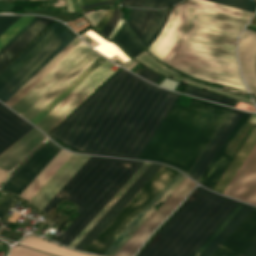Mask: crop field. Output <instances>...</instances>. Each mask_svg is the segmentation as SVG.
I'll list each match as a JSON object with an SVG mask.
<instances>
[{
    "instance_id": "4177f3b9",
    "label": "crop field",
    "mask_w": 256,
    "mask_h": 256,
    "mask_svg": "<svg viewBox=\"0 0 256 256\" xmlns=\"http://www.w3.org/2000/svg\"><path fill=\"white\" fill-rule=\"evenodd\" d=\"M253 208L254 206L244 204L199 256H211L226 240V238L235 230V228L243 221V219L251 212Z\"/></svg>"
},
{
    "instance_id": "cbeb9de0",
    "label": "crop field",
    "mask_w": 256,
    "mask_h": 256,
    "mask_svg": "<svg viewBox=\"0 0 256 256\" xmlns=\"http://www.w3.org/2000/svg\"><path fill=\"white\" fill-rule=\"evenodd\" d=\"M89 157L73 154L30 202L41 210Z\"/></svg>"
},
{
    "instance_id": "5866460e",
    "label": "crop field",
    "mask_w": 256,
    "mask_h": 256,
    "mask_svg": "<svg viewBox=\"0 0 256 256\" xmlns=\"http://www.w3.org/2000/svg\"><path fill=\"white\" fill-rule=\"evenodd\" d=\"M184 93H188V94H191V95H194V96H198V97H201V98L216 101V102L223 103V104L230 105V106H232V104L234 102V99L227 98V97H224V96H220V95H217V94H213V93H210V92H206V91H203V90H200V89H196V88L190 87L188 85L186 86V88L184 90Z\"/></svg>"
},
{
    "instance_id": "ae1a2a85",
    "label": "crop field",
    "mask_w": 256,
    "mask_h": 256,
    "mask_svg": "<svg viewBox=\"0 0 256 256\" xmlns=\"http://www.w3.org/2000/svg\"><path fill=\"white\" fill-rule=\"evenodd\" d=\"M150 163L144 164L127 181V183L116 193V195L105 205V207L95 216V218L84 228V230L73 240L69 247L74 248L76 244L88 233V231L97 223V221L107 212V210L117 201V199L127 190V188L136 180V178L146 169Z\"/></svg>"
},
{
    "instance_id": "e1f06a70",
    "label": "crop field",
    "mask_w": 256,
    "mask_h": 256,
    "mask_svg": "<svg viewBox=\"0 0 256 256\" xmlns=\"http://www.w3.org/2000/svg\"><path fill=\"white\" fill-rule=\"evenodd\" d=\"M243 203L239 204L234 208V210L227 216V218L219 225V227L211 234V236L204 242V244L196 251L193 256H198L201 251L209 244V242L217 235V233L225 226V224L232 218V216L239 210Z\"/></svg>"
},
{
    "instance_id": "5142ce71",
    "label": "crop field",
    "mask_w": 256,
    "mask_h": 256,
    "mask_svg": "<svg viewBox=\"0 0 256 256\" xmlns=\"http://www.w3.org/2000/svg\"><path fill=\"white\" fill-rule=\"evenodd\" d=\"M242 114V111L231 109L188 175L198 181Z\"/></svg>"
},
{
    "instance_id": "b80d0937",
    "label": "crop field",
    "mask_w": 256,
    "mask_h": 256,
    "mask_svg": "<svg viewBox=\"0 0 256 256\" xmlns=\"http://www.w3.org/2000/svg\"><path fill=\"white\" fill-rule=\"evenodd\" d=\"M9 256H51V255L37 252L25 247L16 246V247H13Z\"/></svg>"
},
{
    "instance_id": "0765c3eb",
    "label": "crop field",
    "mask_w": 256,
    "mask_h": 256,
    "mask_svg": "<svg viewBox=\"0 0 256 256\" xmlns=\"http://www.w3.org/2000/svg\"><path fill=\"white\" fill-rule=\"evenodd\" d=\"M67 9L68 11H73L71 0H66ZM74 12V11H73Z\"/></svg>"
},
{
    "instance_id": "22f410ed",
    "label": "crop field",
    "mask_w": 256,
    "mask_h": 256,
    "mask_svg": "<svg viewBox=\"0 0 256 256\" xmlns=\"http://www.w3.org/2000/svg\"><path fill=\"white\" fill-rule=\"evenodd\" d=\"M223 194L256 205V144Z\"/></svg>"
},
{
    "instance_id": "ac0d7876",
    "label": "crop field",
    "mask_w": 256,
    "mask_h": 256,
    "mask_svg": "<svg viewBox=\"0 0 256 256\" xmlns=\"http://www.w3.org/2000/svg\"><path fill=\"white\" fill-rule=\"evenodd\" d=\"M247 21L200 8L168 64L196 78L245 89L235 59V41Z\"/></svg>"
},
{
    "instance_id": "f4fd0767",
    "label": "crop field",
    "mask_w": 256,
    "mask_h": 256,
    "mask_svg": "<svg viewBox=\"0 0 256 256\" xmlns=\"http://www.w3.org/2000/svg\"><path fill=\"white\" fill-rule=\"evenodd\" d=\"M237 203L199 187L139 256H192Z\"/></svg>"
},
{
    "instance_id": "1f2cbd36",
    "label": "crop field",
    "mask_w": 256,
    "mask_h": 256,
    "mask_svg": "<svg viewBox=\"0 0 256 256\" xmlns=\"http://www.w3.org/2000/svg\"><path fill=\"white\" fill-rule=\"evenodd\" d=\"M140 0H123L121 5L138 7Z\"/></svg>"
},
{
    "instance_id": "d23c7cc5",
    "label": "crop field",
    "mask_w": 256,
    "mask_h": 256,
    "mask_svg": "<svg viewBox=\"0 0 256 256\" xmlns=\"http://www.w3.org/2000/svg\"><path fill=\"white\" fill-rule=\"evenodd\" d=\"M138 75L142 76L143 78L155 83L157 81V79L160 77V75L144 68ZM161 78V77H160ZM159 78V79H160ZM158 79V80H159Z\"/></svg>"
},
{
    "instance_id": "bc2a9ffb",
    "label": "crop field",
    "mask_w": 256,
    "mask_h": 256,
    "mask_svg": "<svg viewBox=\"0 0 256 256\" xmlns=\"http://www.w3.org/2000/svg\"><path fill=\"white\" fill-rule=\"evenodd\" d=\"M31 128L33 127L0 104V153Z\"/></svg>"
},
{
    "instance_id": "120bbe31",
    "label": "crop field",
    "mask_w": 256,
    "mask_h": 256,
    "mask_svg": "<svg viewBox=\"0 0 256 256\" xmlns=\"http://www.w3.org/2000/svg\"><path fill=\"white\" fill-rule=\"evenodd\" d=\"M185 178V176H181L176 183L163 195V197L159 201H163L175 188L178 184ZM158 201V202H159ZM157 202V203H158ZM156 203V204H157ZM156 204L137 222V224L126 234V236L119 242V244L111 251L108 256H114L115 253L123 246V244L130 238V236L144 223V221L155 211Z\"/></svg>"
},
{
    "instance_id": "b54c1fbb",
    "label": "crop field",
    "mask_w": 256,
    "mask_h": 256,
    "mask_svg": "<svg viewBox=\"0 0 256 256\" xmlns=\"http://www.w3.org/2000/svg\"><path fill=\"white\" fill-rule=\"evenodd\" d=\"M154 11L155 10H151V9L147 10V12L145 14V17H144V19H143V21H142V23H141L137 33H136L139 38L143 34V32L146 30V28L148 27V25H149V23H150V21L152 19V16L154 14Z\"/></svg>"
},
{
    "instance_id": "c035e120",
    "label": "crop field",
    "mask_w": 256,
    "mask_h": 256,
    "mask_svg": "<svg viewBox=\"0 0 256 256\" xmlns=\"http://www.w3.org/2000/svg\"><path fill=\"white\" fill-rule=\"evenodd\" d=\"M179 1L181 0H142L140 7L160 8Z\"/></svg>"
},
{
    "instance_id": "92a150f3",
    "label": "crop field",
    "mask_w": 256,
    "mask_h": 256,
    "mask_svg": "<svg viewBox=\"0 0 256 256\" xmlns=\"http://www.w3.org/2000/svg\"><path fill=\"white\" fill-rule=\"evenodd\" d=\"M52 21V19L40 17L35 23H33L21 36H19L0 54V69Z\"/></svg>"
},
{
    "instance_id": "03da06ac",
    "label": "crop field",
    "mask_w": 256,
    "mask_h": 256,
    "mask_svg": "<svg viewBox=\"0 0 256 256\" xmlns=\"http://www.w3.org/2000/svg\"><path fill=\"white\" fill-rule=\"evenodd\" d=\"M18 199L19 197L11 194L0 206V217L3 218Z\"/></svg>"
},
{
    "instance_id": "4a817a6b",
    "label": "crop field",
    "mask_w": 256,
    "mask_h": 256,
    "mask_svg": "<svg viewBox=\"0 0 256 256\" xmlns=\"http://www.w3.org/2000/svg\"><path fill=\"white\" fill-rule=\"evenodd\" d=\"M35 129L33 128L2 154H0L1 168L9 171L20 163L32 148L46 138Z\"/></svg>"
},
{
    "instance_id": "1d83c4d3",
    "label": "crop field",
    "mask_w": 256,
    "mask_h": 256,
    "mask_svg": "<svg viewBox=\"0 0 256 256\" xmlns=\"http://www.w3.org/2000/svg\"><path fill=\"white\" fill-rule=\"evenodd\" d=\"M114 41L118 42L133 57L142 50L140 44L131 35L126 25Z\"/></svg>"
},
{
    "instance_id": "dbb93151",
    "label": "crop field",
    "mask_w": 256,
    "mask_h": 256,
    "mask_svg": "<svg viewBox=\"0 0 256 256\" xmlns=\"http://www.w3.org/2000/svg\"><path fill=\"white\" fill-rule=\"evenodd\" d=\"M112 2H114V0H108V1L100 2V3H96V4L84 5V6H81V7H82V9H85V8L98 6V5H103V4L112 3Z\"/></svg>"
},
{
    "instance_id": "028f5c9d",
    "label": "crop field",
    "mask_w": 256,
    "mask_h": 256,
    "mask_svg": "<svg viewBox=\"0 0 256 256\" xmlns=\"http://www.w3.org/2000/svg\"><path fill=\"white\" fill-rule=\"evenodd\" d=\"M209 1L229 5L232 7H236V8L252 11V12L256 7V2L249 1V0H209Z\"/></svg>"
},
{
    "instance_id": "89e229c0",
    "label": "crop field",
    "mask_w": 256,
    "mask_h": 256,
    "mask_svg": "<svg viewBox=\"0 0 256 256\" xmlns=\"http://www.w3.org/2000/svg\"><path fill=\"white\" fill-rule=\"evenodd\" d=\"M242 256H256V240L254 243L243 253Z\"/></svg>"
},
{
    "instance_id": "9d1cf04e",
    "label": "crop field",
    "mask_w": 256,
    "mask_h": 256,
    "mask_svg": "<svg viewBox=\"0 0 256 256\" xmlns=\"http://www.w3.org/2000/svg\"><path fill=\"white\" fill-rule=\"evenodd\" d=\"M123 23L122 18L120 19L119 23L117 24V26L114 28V30L112 31V33L109 35L108 38L111 39V37L114 35V33L117 31V29L121 26V24Z\"/></svg>"
},
{
    "instance_id": "dd49c442",
    "label": "crop field",
    "mask_w": 256,
    "mask_h": 256,
    "mask_svg": "<svg viewBox=\"0 0 256 256\" xmlns=\"http://www.w3.org/2000/svg\"><path fill=\"white\" fill-rule=\"evenodd\" d=\"M160 164L151 163L137 178L128 190L98 221L89 233L75 247L84 250L90 242L109 224V222L125 207L140 188L158 170ZM178 173V171L161 166L150 180L133 197L126 207L111 221V223L92 241L85 251L103 255L123 229L132 219L158 194V192Z\"/></svg>"
},
{
    "instance_id": "1d79db26",
    "label": "crop field",
    "mask_w": 256,
    "mask_h": 256,
    "mask_svg": "<svg viewBox=\"0 0 256 256\" xmlns=\"http://www.w3.org/2000/svg\"><path fill=\"white\" fill-rule=\"evenodd\" d=\"M81 5L95 3L103 0H79Z\"/></svg>"
},
{
    "instance_id": "00972430",
    "label": "crop field",
    "mask_w": 256,
    "mask_h": 256,
    "mask_svg": "<svg viewBox=\"0 0 256 256\" xmlns=\"http://www.w3.org/2000/svg\"><path fill=\"white\" fill-rule=\"evenodd\" d=\"M255 143L256 126L249 135V137L247 138V140L245 141V143L243 144V146L241 147V149L239 150V152L237 153V155L235 156V158L232 160V162L230 163V165L228 166V168L226 169V171L224 172L216 186L214 187V190L222 193V191L224 190L230 179L233 177V175L235 174V172L237 171V169L239 168V166L241 165V163L243 162V160L245 159V157L247 156V154L249 153V151L251 150Z\"/></svg>"
},
{
    "instance_id": "dafd665d",
    "label": "crop field",
    "mask_w": 256,
    "mask_h": 256,
    "mask_svg": "<svg viewBox=\"0 0 256 256\" xmlns=\"http://www.w3.org/2000/svg\"><path fill=\"white\" fill-rule=\"evenodd\" d=\"M71 154L61 149L19 196L29 201Z\"/></svg>"
},
{
    "instance_id": "c21b1889",
    "label": "crop field",
    "mask_w": 256,
    "mask_h": 256,
    "mask_svg": "<svg viewBox=\"0 0 256 256\" xmlns=\"http://www.w3.org/2000/svg\"><path fill=\"white\" fill-rule=\"evenodd\" d=\"M120 17H121V14L119 12V9L117 8L114 10L112 17L110 18V20L108 21V23L106 24L105 28L102 30L101 33L104 34L106 37H108V35L113 30L118 20L120 19Z\"/></svg>"
},
{
    "instance_id": "0bd39190",
    "label": "crop field",
    "mask_w": 256,
    "mask_h": 256,
    "mask_svg": "<svg viewBox=\"0 0 256 256\" xmlns=\"http://www.w3.org/2000/svg\"><path fill=\"white\" fill-rule=\"evenodd\" d=\"M147 9H132L131 15L128 19L129 26L132 28L133 32H136L145 12Z\"/></svg>"
},
{
    "instance_id": "447ae74e",
    "label": "crop field",
    "mask_w": 256,
    "mask_h": 256,
    "mask_svg": "<svg viewBox=\"0 0 256 256\" xmlns=\"http://www.w3.org/2000/svg\"><path fill=\"white\" fill-rule=\"evenodd\" d=\"M75 12H82L77 0H72Z\"/></svg>"
},
{
    "instance_id": "a9b5d70f",
    "label": "crop field",
    "mask_w": 256,
    "mask_h": 256,
    "mask_svg": "<svg viewBox=\"0 0 256 256\" xmlns=\"http://www.w3.org/2000/svg\"><path fill=\"white\" fill-rule=\"evenodd\" d=\"M81 41L82 40L76 36L68 45H66L50 62H48L32 79H30L5 104H7L10 107L15 101H17L27 90H29L39 79H41L51 68H53L63 57H65Z\"/></svg>"
},
{
    "instance_id": "e52e79f7",
    "label": "crop field",
    "mask_w": 256,
    "mask_h": 256,
    "mask_svg": "<svg viewBox=\"0 0 256 256\" xmlns=\"http://www.w3.org/2000/svg\"><path fill=\"white\" fill-rule=\"evenodd\" d=\"M75 36L56 21L0 72V100L5 103Z\"/></svg>"
},
{
    "instance_id": "733c2abd",
    "label": "crop field",
    "mask_w": 256,
    "mask_h": 256,
    "mask_svg": "<svg viewBox=\"0 0 256 256\" xmlns=\"http://www.w3.org/2000/svg\"><path fill=\"white\" fill-rule=\"evenodd\" d=\"M98 57L99 55L92 50L22 116L30 121Z\"/></svg>"
},
{
    "instance_id": "73cf0c24",
    "label": "crop field",
    "mask_w": 256,
    "mask_h": 256,
    "mask_svg": "<svg viewBox=\"0 0 256 256\" xmlns=\"http://www.w3.org/2000/svg\"><path fill=\"white\" fill-rule=\"evenodd\" d=\"M39 16H36L31 22H29L17 35H15L4 47L0 49V53L8 47L19 35H21L33 22H35Z\"/></svg>"
},
{
    "instance_id": "d8731c3e",
    "label": "crop field",
    "mask_w": 256,
    "mask_h": 256,
    "mask_svg": "<svg viewBox=\"0 0 256 256\" xmlns=\"http://www.w3.org/2000/svg\"><path fill=\"white\" fill-rule=\"evenodd\" d=\"M199 7L248 20L253 15L252 12L205 0H189L187 4L179 3V5L174 7L171 11L160 34L148 48L149 51L161 61L168 63L188 34Z\"/></svg>"
},
{
    "instance_id": "db79e9e6",
    "label": "crop field",
    "mask_w": 256,
    "mask_h": 256,
    "mask_svg": "<svg viewBox=\"0 0 256 256\" xmlns=\"http://www.w3.org/2000/svg\"><path fill=\"white\" fill-rule=\"evenodd\" d=\"M251 23H255V24H256V15H255V17L253 18V20L251 21Z\"/></svg>"
},
{
    "instance_id": "7b73153f",
    "label": "crop field",
    "mask_w": 256,
    "mask_h": 256,
    "mask_svg": "<svg viewBox=\"0 0 256 256\" xmlns=\"http://www.w3.org/2000/svg\"><path fill=\"white\" fill-rule=\"evenodd\" d=\"M248 27L256 28V26H255V25H251V24H249V26H248Z\"/></svg>"
},
{
    "instance_id": "5a996713",
    "label": "crop field",
    "mask_w": 256,
    "mask_h": 256,
    "mask_svg": "<svg viewBox=\"0 0 256 256\" xmlns=\"http://www.w3.org/2000/svg\"><path fill=\"white\" fill-rule=\"evenodd\" d=\"M114 65L115 64L106 60L91 75L89 74L90 76H88L36 125L46 133L51 130L58 122H60L68 113H70L78 104H80L89 94H91L99 85H101L110 75L115 72L110 69Z\"/></svg>"
},
{
    "instance_id": "25e5ab78",
    "label": "crop field",
    "mask_w": 256,
    "mask_h": 256,
    "mask_svg": "<svg viewBox=\"0 0 256 256\" xmlns=\"http://www.w3.org/2000/svg\"><path fill=\"white\" fill-rule=\"evenodd\" d=\"M105 12H106V10L105 11H100V12H95V13H88L86 16L88 17V19L95 26L97 24V22L101 19V17L103 16V14Z\"/></svg>"
},
{
    "instance_id": "730fd06b",
    "label": "crop field",
    "mask_w": 256,
    "mask_h": 256,
    "mask_svg": "<svg viewBox=\"0 0 256 256\" xmlns=\"http://www.w3.org/2000/svg\"><path fill=\"white\" fill-rule=\"evenodd\" d=\"M20 244L26 245L28 247L38 249L41 251H45L51 254H55L58 256H93L84 253L75 252L61 246H58L48 240L34 237V236H27L25 237Z\"/></svg>"
},
{
    "instance_id": "28ad6ade",
    "label": "crop field",
    "mask_w": 256,
    "mask_h": 256,
    "mask_svg": "<svg viewBox=\"0 0 256 256\" xmlns=\"http://www.w3.org/2000/svg\"><path fill=\"white\" fill-rule=\"evenodd\" d=\"M196 183L187 177L180 183L169 198L146 220L139 230L117 252L115 256H133L146 237L162 222V220L180 203ZM158 210L163 211L161 214Z\"/></svg>"
},
{
    "instance_id": "425ffa30",
    "label": "crop field",
    "mask_w": 256,
    "mask_h": 256,
    "mask_svg": "<svg viewBox=\"0 0 256 256\" xmlns=\"http://www.w3.org/2000/svg\"><path fill=\"white\" fill-rule=\"evenodd\" d=\"M114 9H109L107 10V12L105 13V15L102 17V19L98 22V24L95 26L96 29L98 31L101 32L102 28L105 26V24L107 23L108 19L110 18L112 12Z\"/></svg>"
},
{
    "instance_id": "3316defc",
    "label": "crop field",
    "mask_w": 256,
    "mask_h": 256,
    "mask_svg": "<svg viewBox=\"0 0 256 256\" xmlns=\"http://www.w3.org/2000/svg\"><path fill=\"white\" fill-rule=\"evenodd\" d=\"M90 50L82 41L10 108L22 115Z\"/></svg>"
},
{
    "instance_id": "d9b57169",
    "label": "crop field",
    "mask_w": 256,
    "mask_h": 256,
    "mask_svg": "<svg viewBox=\"0 0 256 256\" xmlns=\"http://www.w3.org/2000/svg\"><path fill=\"white\" fill-rule=\"evenodd\" d=\"M256 238V207L213 256H240Z\"/></svg>"
},
{
    "instance_id": "bd1437ed",
    "label": "crop field",
    "mask_w": 256,
    "mask_h": 256,
    "mask_svg": "<svg viewBox=\"0 0 256 256\" xmlns=\"http://www.w3.org/2000/svg\"><path fill=\"white\" fill-rule=\"evenodd\" d=\"M182 174L179 172L170 182L169 184L134 218V220L125 228V230L118 236V238L114 241V243L109 247V249L105 252V256H107L110 251L117 245V243L125 236V234L135 225V223L146 213V211L154 205L157 200L170 188V186L181 176Z\"/></svg>"
},
{
    "instance_id": "750c4746",
    "label": "crop field",
    "mask_w": 256,
    "mask_h": 256,
    "mask_svg": "<svg viewBox=\"0 0 256 256\" xmlns=\"http://www.w3.org/2000/svg\"><path fill=\"white\" fill-rule=\"evenodd\" d=\"M169 9H161L156 10L153 16L152 22L146 32L141 37L140 41L143 42L145 45H148L152 38L157 34V32L161 29L168 13Z\"/></svg>"
},
{
    "instance_id": "214f88e0",
    "label": "crop field",
    "mask_w": 256,
    "mask_h": 256,
    "mask_svg": "<svg viewBox=\"0 0 256 256\" xmlns=\"http://www.w3.org/2000/svg\"><path fill=\"white\" fill-rule=\"evenodd\" d=\"M250 113L244 112L243 116L239 120L238 124L226 140V142L223 144L215 158L212 160L204 174L201 176L198 182L202 183L206 187L210 188L213 186L229 160L231 159V156L225 154V150L230 145L234 137L237 135L241 127L246 122L247 118L249 117Z\"/></svg>"
},
{
    "instance_id": "0fb4a251",
    "label": "crop field",
    "mask_w": 256,
    "mask_h": 256,
    "mask_svg": "<svg viewBox=\"0 0 256 256\" xmlns=\"http://www.w3.org/2000/svg\"><path fill=\"white\" fill-rule=\"evenodd\" d=\"M8 176V173L0 170V184L5 180V178Z\"/></svg>"
},
{
    "instance_id": "d1516ede",
    "label": "crop field",
    "mask_w": 256,
    "mask_h": 256,
    "mask_svg": "<svg viewBox=\"0 0 256 256\" xmlns=\"http://www.w3.org/2000/svg\"><path fill=\"white\" fill-rule=\"evenodd\" d=\"M59 150L58 146L47 141L29 156L1 188L19 195Z\"/></svg>"
},
{
    "instance_id": "5d738f31",
    "label": "crop field",
    "mask_w": 256,
    "mask_h": 256,
    "mask_svg": "<svg viewBox=\"0 0 256 256\" xmlns=\"http://www.w3.org/2000/svg\"><path fill=\"white\" fill-rule=\"evenodd\" d=\"M20 16H0V35Z\"/></svg>"
},
{
    "instance_id": "34b2d1b8",
    "label": "crop field",
    "mask_w": 256,
    "mask_h": 256,
    "mask_svg": "<svg viewBox=\"0 0 256 256\" xmlns=\"http://www.w3.org/2000/svg\"><path fill=\"white\" fill-rule=\"evenodd\" d=\"M230 108L193 99L175 103L139 159L164 162L186 172Z\"/></svg>"
},
{
    "instance_id": "8a807250",
    "label": "crop field",
    "mask_w": 256,
    "mask_h": 256,
    "mask_svg": "<svg viewBox=\"0 0 256 256\" xmlns=\"http://www.w3.org/2000/svg\"><path fill=\"white\" fill-rule=\"evenodd\" d=\"M178 97L121 68L48 134L78 151L138 159Z\"/></svg>"
},
{
    "instance_id": "d3111659",
    "label": "crop field",
    "mask_w": 256,
    "mask_h": 256,
    "mask_svg": "<svg viewBox=\"0 0 256 256\" xmlns=\"http://www.w3.org/2000/svg\"><path fill=\"white\" fill-rule=\"evenodd\" d=\"M105 60L106 59L100 56V58L94 64H92L80 77H78L66 90H64L31 122L36 124L40 119H42L52 108H54L64 97H66L76 86H78L89 74H91Z\"/></svg>"
},
{
    "instance_id": "d32e631a",
    "label": "crop field",
    "mask_w": 256,
    "mask_h": 256,
    "mask_svg": "<svg viewBox=\"0 0 256 256\" xmlns=\"http://www.w3.org/2000/svg\"><path fill=\"white\" fill-rule=\"evenodd\" d=\"M35 16H21L15 23H13L1 36L0 48L4 46L15 34H17L29 21Z\"/></svg>"
},
{
    "instance_id": "412701ff",
    "label": "crop field",
    "mask_w": 256,
    "mask_h": 256,
    "mask_svg": "<svg viewBox=\"0 0 256 256\" xmlns=\"http://www.w3.org/2000/svg\"><path fill=\"white\" fill-rule=\"evenodd\" d=\"M142 163L91 156L41 210L47 214L62 197L81 206L56 240L68 246Z\"/></svg>"
},
{
    "instance_id": "eef30255",
    "label": "crop field",
    "mask_w": 256,
    "mask_h": 256,
    "mask_svg": "<svg viewBox=\"0 0 256 256\" xmlns=\"http://www.w3.org/2000/svg\"><path fill=\"white\" fill-rule=\"evenodd\" d=\"M135 58L138 59L139 61H141L143 64L147 65L148 67H150L151 69H153V70H155V71H157L159 73L166 74L168 76L174 77L176 79L182 80L184 82H187V83H190V84L202 87V88H206V89H209V90H212V91H215V92H219V93H222V94H226V95H229V96H233V97H236V98H240V99L252 102L251 99H249V98H245V97H242V96H239V95H235V94H232V93H228V92H224V91H221V90H217V89L211 88L209 86L203 85L201 83H198V82H195V81H192V80H189V79H185V78H183V77H181V76L171 72L170 70L166 69L165 67H163L161 64L156 62L146 52L140 53Z\"/></svg>"
}]
</instances>
